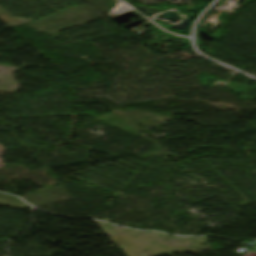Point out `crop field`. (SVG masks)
<instances>
[{
	"instance_id": "obj_1",
	"label": "crop field",
	"mask_w": 256,
	"mask_h": 256,
	"mask_svg": "<svg viewBox=\"0 0 256 256\" xmlns=\"http://www.w3.org/2000/svg\"><path fill=\"white\" fill-rule=\"evenodd\" d=\"M244 256H256V253H254V252H249V253L245 254Z\"/></svg>"
}]
</instances>
